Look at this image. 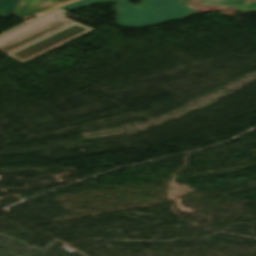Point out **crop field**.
<instances>
[{
    "label": "crop field",
    "mask_w": 256,
    "mask_h": 256,
    "mask_svg": "<svg viewBox=\"0 0 256 256\" xmlns=\"http://www.w3.org/2000/svg\"><path fill=\"white\" fill-rule=\"evenodd\" d=\"M114 0H78L61 6L73 11L87 4L112 2ZM117 1L118 26L144 28L151 25L196 15L197 12L182 4V0H140V6L131 5L127 0ZM205 5L230 6V0H203Z\"/></svg>",
    "instance_id": "obj_1"
},
{
    "label": "crop field",
    "mask_w": 256,
    "mask_h": 256,
    "mask_svg": "<svg viewBox=\"0 0 256 256\" xmlns=\"http://www.w3.org/2000/svg\"><path fill=\"white\" fill-rule=\"evenodd\" d=\"M74 23H76V22L65 18V19H63V20H61V21H59V22H57L55 24H52V25H50V26H48V27H46V28H44V29H42L40 31H37V32L27 36V37H24V38L14 42V43H12V44H9V45L1 48L0 51L8 54V53H10V52H12V51H14L16 49H19V48H21V47H23L25 45H28V44L36 41V40H39V39H41V38H43L45 36H48V35L56 32V31H59V30L65 28V27H68V26H70V25H72ZM92 30L93 29L87 27V28H85V29L75 33V34H72V35H70V36H68L66 38H63V39L55 42V43H52V44H50V45H48L46 47H43V48H41V49H39L37 51H34V52H32V53H30V54H28L26 56H23V57L17 59V61L23 63V62H25V61L33 58V57H36V56H38V55H40V54H42V53H44V52H46L48 50H51V49H53V48H55V47L65 43V42H68V41H70V40H72V39H74V38H76V37H78V36H80L82 34L90 32Z\"/></svg>",
    "instance_id": "obj_2"
},
{
    "label": "crop field",
    "mask_w": 256,
    "mask_h": 256,
    "mask_svg": "<svg viewBox=\"0 0 256 256\" xmlns=\"http://www.w3.org/2000/svg\"><path fill=\"white\" fill-rule=\"evenodd\" d=\"M55 7V4L51 0H22L11 15L18 18L36 14L42 15Z\"/></svg>",
    "instance_id": "obj_3"
},
{
    "label": "crop field",
    "mask_w": 256,
    "mask_h": 256,
    "mask_svg": "<svg viewBox=\"0 0 256 256\" xmlns=\"http://www.w3.org/2000/svg\"><path fill=\"white\" fill-rule=\"evenodd\" d=\"M21 0H0V17L8 19Z\"/></svg>",
    "instance_id": "obj_4"
},
{
    "label": "crop field",
    "mask_w": 256,
    "mask_h": 256,
    "mask_svg": "<svg viewBox=\"0 0 256 256\" xmlns=\"http://www.w3.org/2000/svg\"><path fill=\"white\" fill-rule=\"evenodd\" d=\"M236 4V10L238 11H256V3L243 1V0H234Z\"/></svg>",
    "instance_id": "obj_5"
},
{
    "label": "crop field",
    "mask_w": 256,
    "mask_h": 256,
    "mask_svg": "<svg viewBox=\"0 0 256 256\" xmlns=\"http://www.w3.org/2000/svg\"><path fill=\"white\" fill-rule=\"evenodd\" d=\"M58 6L62 5V4H65V3H68V2H71V1H74V0H53Z\"/></svg>",
    "instance_id": "obj_6"
}]
</instances>
